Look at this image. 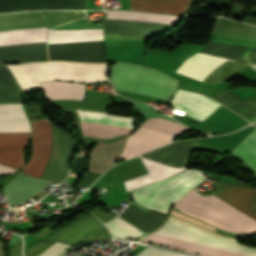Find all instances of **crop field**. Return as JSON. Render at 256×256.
<instances>
[{"label": "crop field", "mask_w": 256, "mask_h": 256, "mask_svg": "<svg viewBox=\"0 0 256 256\" xmlns=\"http://www.w3.org/2000/svg\"><path fill=\"white\" fill-rule=\"evenodd\" d=\"M126 137L116 141L104 143L98 139L96 146L90 153V165L88 170L101 173L112 165L122 151Z\"/></svg>", "instance_id": "crop-field-13"}, {"label": "crop field", "mask_w": 256, "mask_h": 256, "mask_svg": "<svg viewBox=\"0 0 256 256\" xmlns=\"http://www.w3.org/2000/svg\"><path fill=\"white\" fill-rule=\"evenodd\" d=\"M211 194L256 220V189L222 183ZM213 196H202L193 189L175 206L220 229L243 235L256 234L255 220Z\"/></svg>", "instance_id": "crop-field-1"}, {"label": "crop field", "mask_w": 256, "mask_h": 256, "mask_svg": "<svg viewBox=\"0 0 256 256\" xmlns=\"http://www.w3.org/2000/svg\"><path fill=\"white\" fill-rule=\"evenodd\" d=\"M13 170H14V169H12V168H9V167L0 165V174H2V173H8V172H11V171H13Z\"/></svg>", "instance_id": "crop-field-31"}, {"label": "crop field", "mask_w": 256, "mask_h": 256, "mask_svg": "<svg viewBox=\"0 0 256 256\" xmlns=\"http://www.w3.org/2000/svg\"><path fill=\"white\" fill-rule=\"evenodd\" d=\"M172 215L177 216V217L182 218V219H185V220L190 221V222H192V223L198 224V225H200V226L209 228V229H211V230H213V231H214V229H215V228H213V227H211V226H209V225H207V224L201 223V222H199V221H196V220H194V219H191V218H189V217H186V216L181 215V214H179V213H177V212H174V211L172 212Z\"/></svg>", "instance_id": "crop-field-28"}, {"label": "crop field", "mask_w": 256, "mask_h": 256, "mask_svg": "<svg viewBox=\"0 0 256 256\" xmlns=\"http://www.w3.org/2000/svg\"><path fill=\"white\" fill-rule=\"evenodd\" d=\"M46 40V27L0 32V45Z\"/></svg>", "instance_id": "crop-field-20"}, {"label": "crop field", "mask_w": 256, "mask_h": 256, "mask_svg": "<svg viewBox=\"0 0 256 256\" xmlns=\"http://www.w3.org/2000/svg\"><path fill=\"white\" fill-rule=\"evenodd\" d=\"M227 59L196 53L179 67L176 73L203 81Z\"/></svg>", "instance_id": "crop-field-11"}, {"label": "crop field", "mask_w": 256, "mask_h": 256, "mask_svg": "<svg viewBox=\"0 0 256 256\" xmlns=\"http://www.w3.org/2000/svg\"><path fill=\"white\" fill-rule=\"evenodd\" d=\"M106 226L116 238L135 239L138 238L140 235L144 234L119 217H117L112 222L106 224Z\"/></svg>", "instance_id": "crop-field-25"}, {"label": "crop field", "mask_w": 256, "mask_h": 256, "mask_svg": "<svg viewBox=\"0 0 256 256\" xmlns=\"http://www.w3.org/2000/svg\"><path fill=\"white\" fill-rule=\"evenodd\" d=\"M137 256H184V255L147 247L141 253H139Z\"/></svg>", "instance_id": "crop-field-26"}, {"label": "crop field", "mask_w": 256, "mask_h": 256, "mask_svg": "<svg viewBox=\"0 0 256 256\" xmlns=\"http://www.w3.org/2000/svg\"><path fill=\"white\" fill-rule=\"evenodd\" d=\"M106 19L175 23L178 17L145 13L106 11Z\"/></svg>", "instance_id": "crop-field-21"}, {"label": "crop field", "mask_w": 256, "mask_h": 256, "mask_svg": "<svg viewBox=\"0 0 256 256\" xmlns=\"http://www.w3.org/2000/svg\"><path fill=\"white\" fill-rule=\"evenodd\" d=\"M175 110L199 120L206 119L220 104L203 95L178 89L171 100Z\"/></svg>", "instance_id": "crop-field-9"}, {"label": "crop field", "mask_w": 256, "mask_h": 256, "mask_svg": "<svg viewBox=\"0 0 256 256\" xmlns=\"http://www.w3.org/2000/svg\"><path fill=\"white\" fill-rule=\"evenodd\" d=\"M8 67L22 89L40 87L38 82L53 79L78 82L107 80L105 65L50 62Z\"/></svg>", "instance_id": "crop-field-3"}, {"label": "crop field", "mask_w": 256, "mask_h": 256, "mask_svg": "<svg viewBox=\"0 0 256 256\" xmlns=\"http://www.w3.org/2000/svg\"><path fill=\"white\" fill-rule=\"evenodd\" d=\"M40 85L47 99L83 100L85 85L65 82H46Z\"/></svg>", "instance_id": "crop-field-19"}, {"label": "crop field", "mask_w": 256, "mask_h": 256, "mask_svg": "<svg viewBox=\"0 0 256 256\" xmlns=\"http://www.w3.org/2000/svg\"><path fill=\"white\" fill-rule=\"evenodd\" d=\"M243 57L247 63H256V51H246Z\"/></svg>", "instance_id": "crop-field-29"}, {"label": "crop field", "mask_w": 256, "mask_h": 256, "mask_svg": "<svg viewBox=\"0 0 256 256\" xmlns=\"http://www.w3.org/2000/svg\"><path fill=\"white\" fill-rule=\"evenodd\" d=\"M53 243H55V242L41 240V241L37 242L36 244L27 248L24 255L25 256H39L42 252H44ZM70 247L71 246L56 242L50 248H48L44 253H42L40 256H59L64 250H66Z\"/></svg>", "instance_id": "crop-field-22"}, {"label": "crop field", "mask_w": 256, "mask_h": 256, "mask_svg": "<svg viewBox=\"0 0 256 256\" xmlns=\"http://www.w3.org/2000/svg\"><path fill=\"white\" fill-rule=\"evenodd\" d=\"M80 123L83 130V134L87 136L110 138L118 134L128 133L131 130L83 122Z\"/></svg>", "instance_id": "crop-field-24"}, {"label": "crop field", "mask_w": 256, "mask_h": 256, "mask_svg": "<svg viewBox=\"0 0 256 256\" xmlns=\"http://www.w3.org/2000/svg\"><path fill=\"white\" fill-rule=\"evenodd\" d=\"M110 82L117 90L169 99L178 82L153 69L117 63L111 66Z\"/></svg>", "instance_id": "crop-field-4"}, {"label": "crop field", "mask_w": 256, "mask_h": 256, "mask_svg": "<svg viewBox=\"0 0 256 256\" xmlns=\"http://www.w3.org/2000/svg\"><path fill=\"white\" fill-rule=\"evenodd\" d=\"M142 159V158H141ZM149 174L125 181L126 191H131L146 184L162 180L170 175L179 173L184 169H175L166 165L142 159Z\"/></svg>", "instance_id": "crop-field-17"}, {"label": "crop field", "mask_w": 256, "mask_h": 256, "mask_svg": "<svg viewBox=\"0 0 256 256\" xmlns=\"http://www.w3.org/2000/svg\"><path fill=\"white\" fill-rule=\"evenodd\" d=\"M0 130H30L22 105H0ZM30 131H0V148L24 147ZM23 148L0 149V163L20 171Z\"/></svg>", "instance_id": "crop-field-5"}, {"label": "crop field", "mask_w": 256, "mask_h": 256, "mask_svg": "<svg viewBox=\"0 0 256 256\" xmlns=\"http://www.w3.org/2000/svg\"><path fill=\"white\" fill-rule=\"evenodd\" d=\"M48 239L75 245L95 239L111 238L105 226L92 214L80 215L77 219L56 230Z\"/></svg>", "instance_id": "crop-field-7"}, {"label": "crop field", "mask_w": 256, "mask_h": 256, "mask_svg": "<svg viewBox=\"0 0 256 256\" xmlns=\"http://www.w3.org/2000/svg\"><path fill=\"white\" fill-rule=\"evenodd\" d=\"M175 136L140 127L132 134L119 158L127 159L139 153L171 142Z\"/></svg>", "instance_id": "crop-field-10"}, {"label": "crop field", "mask_w": 256, "mask_h": 256, "mask_svg": "<svg viewBox=\"0 0 256 256\" xmlns=\"http://www.w3.org/2000/svg\"><path fill=\"white\" fill-rule=\"evenodd\" d=\"M119 217L148 235L162 226L168 216L152 211L145 214L130 204Z\"/></svg>", "instance_id": "crop-field-15"}, {"label": "crop field", "mask_w": 256, "mask_h": 256, "mask_svg": "<svg viewBox=\"0 0 256 256\" xmlns=\"http://www.w3.org/2000/svg\"><path fill=\"white\" fill-rule=\"evenodd\" d=\"M192 0H130L129 10L181 14Z\"/></svg>", "instance_id": "crop-field-16"}, {"label": "crop field", "mask_w": 256, "mask_h": 256, "mask_svg": "<svg viewBox=\"0 0 256 256\" xmlns=\"http://www.w3.org/2000/svg\"><path fill=\"white\" fill-rule=\"evenodd\" d=\"M46 183L47 181L19 174L5 186L4 194L8 203H18L29 198L40 190Z\"/></svg>", "instance_id": "crop-field-14"}, {"label": "crop field", "mask_w": 256, "mask_h": 256, "mask_svg": "<svg viewBox=\"0 0 256 256\" xmlns=\"http://www.w3.org/2000/svg\"><path fill=\"white\" fill-rule=\"evenodd\" d=\"M250 66H252L254 69H256V65H250Z\"/></svg>", "instance_id": "crop-field-32"}, {"label": "crop field", "mask_w": 256, "mask_h": 256, "mask_svg": "<svg viewBox=\"0 0 256 256\" xmlns=\"http://www.w3.org/2000/svg\"><path fill=\"white\" fill-rule=\"evenodd\" d=\"M102 41V29L91 30H50L48 44Z\"/></svg>", "instance_id": "crop-field-18"}, {"label": "crop field", "mask_w": 256, "mask_h": 256, "mask_svg": "<svg viewBox=\"0 0 256 256\" xmlns=\"http://www.w3.org/2000/svg\"><path fill=\"white\" fill-rule=\"evenodd\" d=\"M195 146L196 144L193 142L174 143L141 156L166 165L184 168L186 160Z\"/></svg>", "instance_id": "crop-field-12"}, {"label": "crop field", "mask_w": 256, "mask_h": 256, "mask_svg": "<svg viewBox=\"0 0 256 256\" xmlns=\"http://www.w3.org/2000/svg\"><path fill=\"white\" fill-rule=\"evenodd\" d=\"M233 152L256 169V129Z\"/></svg>", "instance_id": "crop-field-23"}, {"label": "crop field", "mask_w": 256, "mask_h": 256, "mask_svg": "<svg viewBox=\"0 0 256 256\" xmlns=\"http://www.w3.org/2000/svg\"><path fill=\"white\" fill-rule=\"evenodd\" d=\"M21 248H22V243L16 244V245H12L10 247V254H11V256H22Z\"/></svg>", "instance_id": "crop-field-30"}, {"label": "crop field", "mask_w": 256, "mask_h": 256, "mask_svg": "<svg viewBox=\"0 0 256 256\" xmlns=\"http://www.w3.org/2000/svg\"><path fill=\"white\" fill-rule=\"evenodd\" d=\"M92 212L95 214L96 217H98L104 223L112 220L115 217V215L110 212L104 213V212L99 211L96 208L94 210H92Z\"/></svg>", "instance_id": "crop-field-27"}, {"label": "crop field", "mask_w": 256, "mask_h": 256, "mask_svg": "<svg viewBox=\"0 0 256 256\" xmlns=\"http://www.w3.org/2000/svg\"><path fill=\"white\" fill-rule=\"evenodd\" d=\"M203 178L202 173L187 170L170 179L133 191V198L149 209L168 214L172 205Z\"/></svg>", "instance_id": "crop-field-6"}, {"label": "crop field", "mask_w": 256, "mask_h": 256, "mask_svg": "<svg viewBox=\"0 0 256 256\" xmlns=\"http://www.w3.org/2000/svg\"><path fill=\"white\" fill-rule=\"evenodd\" d=\"M157 231L246 255L256 256L255 248L237 244L238 239L222 236L171 216L167 223ZM181 238L155 232L145 242L201 256H246Z\"/></svg>", "instance_id": "crop-field-2"}, {"label": "crop field", "mask_w": 256, "mask_h": 256, "mask_svg": "<svg viewBox=\"0 0 256 256\" xmlns=\"http://www.w3.org/2000/svg\"><path fill=\"white\" fill-rule=\"evenodd\" d=\"M32 155L21 173L39 178L45 168L51 150L50 121L47 118L31 120Z\"/></svg>", "instance_id": "crop-field-8"}]
</instances>
